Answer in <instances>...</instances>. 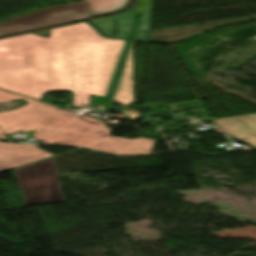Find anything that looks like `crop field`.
Returning a JSON list of instances; mask_svg holds the SVG:
<instances>
[{
    "label": "crop field",
    "mask_w": 256,
    "mask_h": 256,
    "mask_svg": "<svg viewBox=\"0 0 256 256\" xmlns=\"http://www.w3.org/2000/svg\"><path fill=\"white\" fill-rule=\"evenodd\" d=\"M35 32L48 35L49 29ZM0 89L35 99L73 91V105L82 108L91 95L133 105L132 40L104 37L87 21L52 28L50 38L0 39Z\"/></svg>",
    "instance_id": "8a807250"
},
{
    "label": "crop field",
    "mask_w": 256,
    "mask_h": 256,
    "mask_svg": "<svg viewBox=\"0 0 256 256\" xmlns=\"http://www.w3.org/2000/svg\"><path fill=\"white\" fill-rule=\"evenodd\" d=\"M25 99L29 104L10 112L0 113V138L5 134L36 130L34 138L45 144H64L122 154H152L153 140L124 139L110 136L104 122L65 112L46 103L0 90V102Z\"/></svg>",
    "instance_id": "ac0d7876"
},
{
    "label": "crop field",
    "mask_w": 256,
    "mask_h": 256,
    "mask_svg": "<svg viewBox=\"0 0 256 256\" xmlns=\"http://www.w3.org/2000/svg\"><path fill=\"white\" fill-rule=\"evenodd\" d=\"M15 171L26 205L65 202L55 157Z\"/></svg>",
    "instance_id": "34b2d1b8"
},
{
    "label": "crop field",
    "mask_w": 256,
    "mask_h": 256,
    "mask_svg": "<svg viewBox=\"0 0 256 256\" xmlns=\"http://www.w3.org/2000/svg\"><path fill=\"white\" fill-rule=\"evenodd\" d=\"M152 0H138L135 7L113 16L91 19L102 32L113 36V21L118 20V35L113 37L148 40Z\"/></svg>",
    "instance_id": "412701ff"
},
{
    "label": "crop field",
    "mask_w": 256,
    "mask_h": 256,
    "mask_svg": "<svg viewBox=\"0 0 256 256\" xmlns=\"http://www.w3.org/2000/svg\"><path fill=\"white\" fill-rule=\"evenodd\" d=\"M88 16L90 15L85 2L72 6H58L0 24V35Z\"/></svg>",
    "instance_id": "f4fd0767"
},
{
    "label": "crop field",
    "mask_w": 256,
    "mask_h": 256,
    "mask_svg": "<svg viewBox=\"0 0 256 256\" xmlns=\"http://www.w3.org/2000/svg\"><path fill=\"white\" fill-rule=\"evenodd\" d=\"M52 156L37 145L0 142V172Z\"/></svg>",
    "instance_id": "dd49c442"
},
{
    "label": "crop field",
    "mask_w": 256,
    "mask_h": 256,
    "mask_svg": "<svg viewBox=\"0 0 256 256\" xmlns=\"http://www.w3.org/2000/svg\"><path fill=\"white\" fill-rule=\"evenodd\" d=\"M218 127L256 149V113L215 120Z\"/></svg>",
    "instance_id": "e52e79f7"
},
{
    "label": "crop field",
    "mask_w": 256,
    "mask_h": 256,
    "mask_svg": "<svg viewBox=\"0 0 256 256\" xmlns=\"http://www.w3.org/2000/svg\"><path fill=\"white\" fill-rule=\"evenodd\" d=\"M129 0H87L91 15H99L123 9Z\"/></svg>",
    "instance_id": "d8731c3e"
},
{
    "label": "crop field",
    "mask_w": 256,
    "mask_h": 256,
    "mask_svg": "<svg viewBox=\"0 0 256 256\" xmlns=\"http://www.w3.org/2000/svg\"><path fill=\"white\" fill-rule=\"evenodd\" d=\"M111 109H114V108L110 106L108 111H111ZM113 112H119V111H113ZM124 116L129 117L128 119H140L141 113L125 112Z\"/></svg>",
    "instance_id": "5a996713"
},
{
    "label": "crop field",
    "mask_w": 256,
    "mask_h": 256,
    "mask_svg": "<svg viewBox=\"0 0 256 256\" xmlns=\"http://www.w3.org/2000/svg\"><path fill=\"white\" fill-rule=\"evenodd\" d=\"M110 103H111L110 101L94 100V101L91 102L90 106H92V105L105 106L104 111H107Z\"/></svg>",
    "instance_id": "3316defc"
}]
</instances>
